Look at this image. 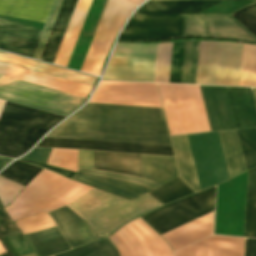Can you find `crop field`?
Segmentation results:
<instances>
[{
  "label": "crop field",
  "mask_w": 256,
  "mask_h": 256,
  "mask_svg": "<svg viewBox=\"0 0 256 256\" xmlns=\"http://www.w3.org/2000/svg\"><path fill=\"white\" fill-rule=\"evenodd\" d=\"M141 158H142L144 178L158 185L139 179V178L124 176L120 174L106 173V172H100V171H94V170H84V169H78V170L105 176V177H110L114 179H119L123 181H128L131 183H135V184L153 188V189H156L161 185L167 183L168 181L179 176L174 158L146 156V155H141Z\"/></svg>",
  "instance_id": "5142ce71"
},
{
  "label": "crop field",
  "mask_w": 256,
  "mask_h": 256,
  "mask_svg": "<svg viewBox=\"0 0 256 256\" xmlns=\"http://www.w3.org/2000/svg\"><path fill=\"white\" fill-rule=\"evenodd\" d=\"M54 0H0V14L46 22ZM41 30L0 20V49L32 57Z\"/></svg>",
  "instance_id": "34b2d1b8"
},
{
  "label": "crop field",
  "mask_w": 256,
  "mask_h": 256,
  "mask_svg": "<svg viewBox=\"0 0 256 256\" xmlns=\"http://www.w3.org/2000/svg\"><path fill=\"white\" fill-rule=\"evenodd\" d=\"M46 137L171 146L162 109L95 103Z\"/></svg>",
  "instance_id": "8a807250"
},
{
  "label": "crop field",
  "mask_w": 256,
  "mask_h": 256,
  "mask_svg": "<svg viewBox=\"0 0 256 256\" xmlns=\"http://www.w3.org/2000/svg\"><path fill=\"white\" fill-rule=\"evenodd\" d=\"M11 161V159L1 157L0 156V169H2L6 164H8Z\"/></svg>",
  "instance_id": "dbb93151"
},
{
  "label": "crop field",
  "mask_w": 256,
  "mask_h": 256,
  "mask_svg": "<svg viewBox=\"0 0 256 256\" xmlns=\"http://www.w3.org/2000/svg\"><path fill=\"white\" fill-rule=\"evenodd\" d=\"M255 99H256V88H253Z\"/></svg>",
  "instance_id": "9d1cf04e"
},
{
  "label": "crop field",
  "mask_w": 256,
  "mask_h": 256,
  "mask_svg": "<svg viewBox=\"0 0 256 256\" xmlns=\"http://www.w3.org/2000/svg\"><path fill=\"white\" fill-rule=\"evenodd\" d=\"M94 169L143 178L140 155L93 152Z\"/></svg>",
  "instance_id": "92a150f3"
},
{
  "label": "crop field",
  "mask_w": 256,
  "mask_h": 256,
  "mask_svg": "<svg viewBox=\"0 0 256 256\" xmlns=\"http://www.w3.org/2000/svg\"><path fill=\"white\" fill-rule=\"evenodd\" d=\"M242 44L200 41L196 84L238 86Z\"/></svg>",
  "instance_id": "dd49c442"
},
{
  "label": "crop field",
  "mask_w": 256,
  "mask_h": 256,
  "mask_svg": "<svg viewBox=\"0 0 256 256\" xmlns=\"http://www.w3.org/2000/svg\"><path fill=\"white\" fill-rule=\"evenodd\" d=\"M0 99L68 116L85 100L53 89L0 75Z\"/></svg>",
  "instance_id": "e52e79f7"
},
{
  "label": "crop field",
  "mask_w": 256,
  "mask_h": 256,
  "mask_svg": "<svg viewBox=\"0 0 256 256\" xmlns=\"http://www.w3.org/2000/svg\"><path fill=\"white\" fill-rule=\"evenodd\" d=\"M180 176L195 190L199 185L186 136L171 137Z\"/></svg>",
  "instance_id": "ae1a2a85"
},
{
  "label": "crop field",
  "mask_w": 256,
  "mask_h": 256,
  "mask_svg": "<svg viewBox=\"0 0 256 256\" xmlns=\"http://www.w3.org/2000/svg\"><path fill=\"white\" fill-rule=\"evenodd\" d=\"M124 227L136 237L145 256H174L168 244L140 218Z\"/></svg>",
  "instance_id": "730fd06b"
},
{
  "label": "crop field",
  "mask_w": 256,
  "mask_h": 256,
  "mask_svg": "<svg viewBox=\"0 0 256 256\" xmlns=\"http://www.w3.org/2000/svg\"><path fill=\"white\" fill-rule=\"evenodd\" d=\"M159 205L147 194L129 202L92 188L67 206L102 237Z\"/></svg>",
  "instance_id": "ac0d7876"
},
{
  "label": "crop field",
  "mask_w": 256,
  "mask_h": 256,
  "mask_svg": "<svg viewBox=\"0 0 256 256\" xmlns=\"http://www.w3.org/2000/svg\"><path fill=\"white\" fill-rule=\"evenodd\" d=\"M15 223L18 229L22 231V234L32 233L55 227V224L51 217L44 212L28 218L17 220L15 221Z\"/></svg>",
  "instance_id": "d32e631a"
},
{
  "label": "crop field",
  "mask_w": 256,
  "mask_h": 256,
  "mask_svg": "<svg viewBox=\"0 0 256 256\" xmlns=\"http://www.w3.org/2000/svg\"><path fill=\"white\" fill-rule=\"evenodd\" d=\"M7 251L4 249V247L2 246V244L0 243V254L2 253H6Z\"/></svg>",
  "instance_id": "1d79db26"
},
{
  "label": "crop field",
  "mask_w": 256,
  "mask_h": 256,
  "mask_svg": "<svg viewBox=\"0 0 256 256\" xmlns=\"http://www.w3.org/2000/svg\"><path fill=\"white\" fill-rule=\"evenodd\" d=\"M246 169L256 166V127L236 130Z\"/></svg>",
  "instance_id": "1d83c4d3"
},
{
  "label": "crop field",
  "mask_w": 256,
  "mask_h": 256,
  "mask_svg": "<svg viewBox=\"0 0 256 256\" xmlns=\"http://www.w3.org/2000/svg\"><path fill=\"white\" fill-rule=\"evenodd\" d=\"M78 168L93 169L92 152L79 151Z\"/></svg>",
  "instance_id": "73cf0c24"
},
{
  "label": "crop field",
  "mask_w": 256,
  "mask_h": 256,
  "mask_svg": "<svg viewBox=\"0 0 256 256\" xmlns=\"http://www.w3.org/2000/svg\"><path fill=\"white\" fill-rule=\"evenodd\" d=\"M136 7L108 0L94 38L84 60L81 72L99 76L110 43ZM114 40V39H113Z\"/></svg>",
  "instance_id": "3316defc"
},
{
  "label": "crop field",
  "mask_w": 256,
  "mask_h": 256,
  "mask_svg": "<svg viewBox=\"0 0 256 256\" xmlns=\"http://www.w3.org/2000/svg\"><path fill=\"white\" fill-rule=\"evenodd\" d=\"M234 14L233 17L256 37V2Z\"/></svg>",
  "instance_id": "b80d0937"
},
{
  "label": "crop field",
  "mask_w": 256,
  "mask_h": 256,
  "mask_svg": "<svg viewBox=\"0 0 256 256\" xmlns=\"http://www.w3.org/2000/svg\"><path fill=\"white\" fill-rule=\"evenodd\" d=\"M222 1L149 0L136 13H200Z\"/></svg>",
  "instance_id": "eef30255"
},
{
  "label": "crop field",
  "mask_w": 256,
  "mask_h": 256,
  "mask_svg": "<svg viewBox=\"0 0 256 256\" xmlns=\"http://www.w3.org/2000/svg\"><path fill=\"white\" fill-rule=\"evenodd\" d=\"M158 86L171 135L210 131L199 86Z\"/></svg>",
  "instance_id": "f4fd0767"
},
{
  "label": "crop field",
  "mask_w": 256,
  "mask_h": 256,
  "mask_svg": "<svg viewBox=\"0 0 256 256\" xmlns=\"http://www.w3.org/2000/svg\"><path fill=\"white\" fill-rule=\"evenodd\" d=\"M19 160L27 162V163L32 164V165H36V166L48 169V170L53 171V172H56V173L66 177L68 179H70L75 174L74 172H70V171L59 169V168L52 167V166H49V165L37 163V162L30 161V160H27V159L20 158Z\"/></svg>",
  "instance_id": "25e5ab78"
},
{
  "label": "crop field",
  "mask_w": 256,
  "mask_h": 256,
  "mask_svg": "<svg viewBox=\"0 0 256 256\" xmlns=\"http://www.w3.org/2000/svg\"><path fill=\"white\" fill-rule=\"evenodd\" d=\"M53 256H119V253L115 245L108 238H105Z\"/></svg>",
  "instance_id": "bd1437ed"
},
{
  "label": "crop field",
  "mask_w": 256,
  "mask_h": 256,
  "mask_svg": "<svg viewBox=\"0 0 256 256\" xmlns=\"http://www.w3.org/2000/svg\"><path fill=\"white\" fill-rule=\"evenodd\" d=\"M61 1H62V0H55V2H54V4H53L52 10H51L50 15H49V17H48V20H47V22H46V25H45V27H44V30H43V32H42V35H41V37H40V40H39L38 45H37V47H36V50H35V52H34V55H33V57H32L33 59H37V60H38L39 57H40V54H41L42 49H43V47H44L45 41H46V39H47V36H48V34H49V31H50V29H51V26H52V24H53V21H54V19H55V16H56V14H57V11H58V9H59V6H60Z\"/></svg>",
  "instance_id": "03da06ac"
},
{
  "label": "crop field",
  "mask_w": 256,
  "mask_h": 256,
  "mask_svg": "<svg viewBox=\"0 0 256 256\" xmlns=\"http://www.w3.org/2000/svg\"><path fill=\"white\" fill-rule=\"evenodd\" d=\"M23 187L0 176V201L8 205Z\"/></svg>",
  "instance_id": "c21b1889"
},
{
  "label": "crop field",
  "mask_w": 256,
  "mask_h": 256,
  "mask_svg": "<svg viewBox=\"0 0 256 256\" xmlns=\"http://www.w3.org/2000/svg\"><path fill=\"white\" fill-rule=\"evenodd\" d=\"M244 237L256 238V168L249 171Z\"/></svg>",
  "instance_id": "750c4746"
},
{
  "label": "crop field",
  "mask_w": 256,
  "mask_h": 256,
  "mask_svg": "<svg viewBox=\"0 0 256 256\" xmlns=\"http://www.w3.org/2000/svg\"><path fill=\"white\" fill-rule=\"evenodd\" d=\"M71 248L98 240L90 227L67 206L50 212Z\"/></svg>",
  "instance_id": "4a817a6b"
},
{
  "label": "crop field",
  "mask_w": 256,
  "mask_h": 256,
  "mask_svg": "<svg viewBox=\"0 0 256 256\" xmlns=\"http://www.w3.org/2000/svg\"><path fill=\"white\" fill-rule=\"evenodd\" d=\"M28 256H34V254H32V255H28Z\"/></svg>",
  "instance_id": "447ae74e"
},
{
  "label": "crop field",
  "mask_w": 256,
  "mask_h": 256,
  "mask_svg": "<svg viewBox=\"0 0 256 256\" xmlns=\"http://www.w3.org/2000/svg\"><path fill=\"white\" fill-rule=\"evenodd\" d=\"M213 216L214 211L210 213V226H209V214L200 217L188 224H185L167 234L166 237L178 248V250L195 243L208 236V226L209 235L212 234L213 228ZM164 235L162 237L170 244L174 251L177 248L167 239Z\"/></svg>",
  "instance_id": "214f88e0"
},
{
  "label": "crop field",
  "mask_w": 256,
  "mask_h": 256,
  "mask_svg": "<svg viewBox=\"0 0 256 256\" xmlns=\"http://www.w3.org/2000/svg\"><path fill=\"white\" fill-rule=\"evenodd\" d=\"M176 256H243L244 250L189 246Z\"/></svg>",
  "instance_id": "5866460e"
},
{
  "label": "crop field",
  "mask_w": 256,
  "mask_h": 256,
  "mask_svg": "<svg viewBox=\"0 0 256 256\" xmlns=\"http://www.w3.org/2000/svg\"><path fill=\"white\" fill-rule=\"evenodd\" d=\"M40 171L41 169L39 168L15 161L4 169L0 175L25 186Z\"/></svg>",
  "instance_id": "120bbe31"
},
{
  "label": "crop field",
  "mask_w": 256,
  "mask_h": 256,
  "mask_svg": "<svg viewBox=\"0 0 256 256\" xmlns=\"http://www.w3.org/2000/svg\"><path fill=\"white\" fill-rule=\"evenodd\" d=\"M125 244L130 256H144L135 237L124 227L115 233Z\"/></svg>",
  "instance_id": "b54c1fbb"
},
{
  "label": "crop field",
  "mask_w": 256,
  "mask_h": 256,
  "mask_svg": "<svg viewBox=\"0 0 256 256\" xmlns=\"http://www.w3.org/2000/svg\"><path fill=\"white\" fill-rule=\"evenodd\" d=\"M4 102V100H0V112ZM0 116L47 128L49 130L64 118L7 101L5 102Z\"/></svg>",
  "instance_id": "4177f3b9"
},
{
  "label": "crop field",
  "mask_w": 256,
  "mask_h": 256,
  "mask_svg": "<svg viewBox=\"0 0 256 256\" xmlns=\"http://www.w3.org/2000/svg\"><path fill=\"white\" fill-rule=\"evenodd\" d=\"M50 150L51 149L34 148L29 154L25 155L23 158L47 164Z\"/></svg>",
  "instance_id": "d23c7cc5"
},
{
  "label": "crop field",
  "mask_w": 256,
  "mask_h": 256,
  "mask_svg": "<svg viewBox=\"0 0 256 256\" xmlns=\"http://www.w3.org/2000/svg\"><path fill=\"white\" fill-rule=\"evenodd\" d=\"M192 41L185 42L181 83L188 84Z\"/></svg>",
  "instance_id": "5d738f31"
},
{
  "label": "crop field",
  "mask_w": 256,
  "mask_h": 256,
  "mask_svg": "<svg viewBox=\"0 0 256 256\" xmlns=\"http://www.w3.org/2000/svg\"><path fill=\"white\" fill-rule=\"evenodd\" d=\"M182 14H134L118 41L181 38Z\"/></svg>",
  "instance_id": "28ad6ade"
},
{
  "label": "crop field",
  "mask_w": 256,
  "mask_h": 256,
  "mask_svg": "<svg viewBox=\"0 0 256 256\" xmlns=\"http://www.w3.org/2000/svg\"><path fill=\"white\" fill-rule=\"evenodd\" d=\"M92 0H78L53 64L66 67Z\"/></svg>",
  "instance_id": "a9b5d70f"
},
{
  "label": "crop field",
  "mask_w": 256,
  "mask_h": 256,
  "mask_svg": "<svg viewBox=\"0 0 256 256\" xmlns=\"http://www.w3.org/2000/svg\"><path fill=\"white\" fill-rule=\"evenodd\" d=\"M121 2H125V3H129V4H133V5H139L141 2H143L144 0H118ZM142 4V3H141Z\"/></svg>",
  "instance_id": "0fb4a251"
},
{
  "label": "crop field",
  "mask_w": 256,
  "mask_h": 256,
  "mask_svg": "<svg viewBox=\"0 0 256 256\" xmlns=\"http://www.w3.org/2000/svg\"><path fill=\"white\" fill-rule=\"evenodd\" d=\"M77 159L78 151L53 149L48 164L76 172Z\"/></svg>",
  "instance_id": "028f5c9d"
},
{
  "label": "crop field",
  "mask_w": 256,
  "mask_h": 256,
  "mask_svg": "<svg viewBox=\"0 0 256 256\" xmlns=\"http://www.w3.org/2000/svg\"><path fill=\"white\" fill-rule=\"evenodd\" d=\"M109 239L116 245L121 256H129L125 246L115 234Z\"/></svg>",
  "instance_id": "89e229c0"
},
{
  "label": "crop field",
  "mask_w": 256,
  "mask_h": 256,
  "mask_svg": "<svg viewBox=\"0 0 256 256\" xmlns=\"http://www.w3.org/2000/svg\"><path fill=\"white\" fill-rule=\"evenodd\" d=\"M90 102L162 108L156 84L100 82Z\"/></svg>",
  "instance_id": "22f410ed"
},
{
  "label": "crop field",
  "mask_w": 256,
  "mask_h": 256,
  "mask_svg": "<svg viewBox=\"0 0 256 256\" xmlns=\"http://www.w3.org/2000/svg\"><path fill=\"white\" fill-rule=\"evenodd\" d=\"M0 62L11 64L14 66L22 67L25 69L33 70L43 74L51 75L54 77L62 78L65 80L73 81L87 86H93L97 77L89 76L86 74L78 73L75 71L67 70L64 68L56 67L53 65L45 64L42 62L34 61L31 59L23 58L20 56L12 55L0 51ZM0 63V74L17 78L20 80L28 81L45 87L53 88L70 94L87 97L91 87L83 86L80 84L72 83L62 79L54 78L51 76L43 75L40 73L32 72L22 68L14 67L11 65Z\"/></svg>",
  "instance_id": "412701ff"
},
{
  "label": "crop field",
  "mask_w": 256,
  "mask_h": 256,
  "mask_svg": "<svg viewBox=\"0 0 256 256\" xmlns=\"http://www.w3.org/2000/svg\"><path fill=\"white\" fill-rule=\"evenodd\" d=\"M215 187L142 217L160 235L214 210Z\"/></svg>",
  "instance_id": "5a996713"
},
{
  "label": "crop field",
  "mask_w": 256,
  "mask_h": 256,
  "mask_svg": "<svg viewBox=\"0 0 256 256\" xmlns=\"http://www.w3.org/2000/svg\"><path fill=\"white\" fill-rule=\"evenodd\" d=\"M230 178L245 171L235 130L219 132Z\"/></svg>",
  "instance_id": "d3111659"
},
{
  "label": "crop field",
  "mask_w": 256,
  "mask_h": 256,
  "mask_svg": "<svg viewBox=\"0 0 256 256\" xmlns=\"http://www.w3.org/2000/svg\"><path fill=\"white\" fill-rule=\"evenodd\" d=\"M72 180L117 195L129 201L153 190L135 184L127 183L128 181L123 182L79 171H77V174L72 178Z\"/></svg>",
  "instance_id": "bc2a9ffb"
},
{
  "label": "crop field",
  "mask_w": 256,
  "mask_h": 256,
  "mask_svg": "<svg viewBox=\"0 0 256 256\" xmlns=\"http://www.w3.org/2000/svg\"><path fill=\"white\" fill-rule=\"evenodd\" d=\"M195 245L243 248V238L212 236Z\"/></svg>",
  "instance_id": "c035e120"
},
{
  "label": "crop field",
  "mask_w": 256,
  "mask_h": 256,
  "mask_svg": "<svg viewBox=\"0 0 256 256\" xmlns=\"http://www.w3.org/2000/svg\"><path fill=\"white\" fill-rule=\"evenodd\" d=\"M77 0H63L46 41L40 61L53 63Z\"/></svg>",
  "instance_id": "00972430"
},
{
  "label": "crop field",
  "mask_w": 256,
  "mask_h": 256,
  "mask_svg": "<svg viewBox=\"0 0 256 256\" xmlns=\"http://www.w3.org/2000/svg\"><path fill=\"white\" fill-rule=\"evenodd\" d=\"M200 88L211 131L235 128L225 87Z\"/></svg>",
  "instance_id": "733c2abd"
},
{
  "label": "crop field",
  "mask_w": 256,
  "mask_h": 256,
  "mask_svg": "<svg viewBox=\"0 0 256 256\" xmlns=\"http://www.w3.org/2000/svg\"><path fill=\"white\" fill-rule=\"evenodd\" d=\"M172 43L159 44L156 82L168 83Z\"/></svg>",
  "instance_id": "e1f06a70"
},
{
  "label": "crop field",
  "mask_w": 256,
  "mask_h": 256,
  "mask_svg": "<svg viewBox=\"0 0 256 256\" xmlns=\"http://www.w3.org/2000/svg\"><path fill=\"white\" fill-rule=\"evenodd\" d=\"M47 132L0 117V155L16 158L26 153Z\"/></svg>",
  "instance_id": "cbeb9de0"
},
{
  "label": "crop field",
  "mask_w": 256,
  "mask_h": 256,
  "mask_svg": "<svg viewBox=\"0 0 256 256\" xmlns=\"http://www.w3.org/2000/svg\"><path fill=\"white\" fill-rule=\"evenodd\" d=\"M183 47L184 42L173 43L169 83H180Z\"/></svg>",
  "instance_id": "0bd39190"
},
{
  "label": "crop field",
  "mask_w": 256,
  "mask_h": 256,
  "mask_svg": "<svg viewBox=\"0 0 256 256\" xmlns=\"http://www.w3.org/2000/svg\"><path fill=\"white\" fill-rule=\"evenodd\" d=\"M37 146L173 156L171 147L44 138Z\"/></svg>",
  "instance_id": "d9b57169"
},
{
  "label": "crop field",
  "mask_w": 256,
  "mask_h": 256,
  "mask_svg": "<svg viewBox=\"0 0 256 256\" xmlns=\"http://www.w3.org/2000/svg\"><path fill=\"white\" fill-rule=\"evenodd\" d=\"M158 44H116L102 80L155 82Z\"/></svg>",
  "instance_id": "d8731c3e"
},
{
  "label": "crop field",
  "mask_w": 256,
  "mask_h": 256,
  "mask_svg": "<svg viewBox=\"0 0 256 256\" xmlns=\"http://www.w3.org/2000/svg\"><path fill=\"white\" fill-rule=\"evenodd\" d=\"M199 41H193L189 84H195Z\"/></svg>",
  "instance_id": "425ffa30"
},
{
  "label": "crop field",
  "mask_w": 256,
  "mask_h": 256,
  "mask_svg": "<svg viewBox=\"0 0 256 256\" xmlns=\"http://www.w3.org/2000/svg\"><path fill=\"white\" fill-rule=\"evenodd\" d=\"M256 39L229 15L183 14L182 38Z\"/></svg>",
  "instance_id": "d1516ede"
},
{
  "label": "crop field",
  "mask_w": 256,
  "mask_h": 256,
  "mask_svg": "<svg viewBox=\"0 0 256 256\" xmlns=\"http://www.w3.org/2000/svg\"><path fill=\"white\" fill-rule=\"evenodd\" d=\"M226 89L236 128L256 126V110L250 88Z\"/></svg>",
  "instance_id": "dafd665d"
},
{
  "label": "crop field",
  "mask_w": 256,
  "mask_h": 256,
  "mask_svg": "<svg viewBox=\"0 0 256 256\" xmlns=\"http://www.w3.org/2000/svg\"><path fill=\"white\" fill-rule=\"evenodd\" d=\"M246 256H256V239H247Z\"/></svg>",
  "instance_id": "1f2cbd36"
}]
</instances>
